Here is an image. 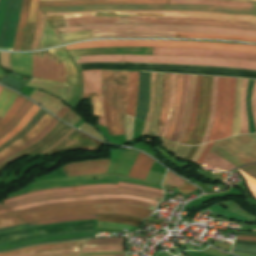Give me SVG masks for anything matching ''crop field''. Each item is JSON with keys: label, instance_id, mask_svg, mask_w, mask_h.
<instances>
[{"label": "crop field", "instance_id": "214f88e0", "mask_svg": "<svg viewBox=\"0 0 256 256\" xmlns=\"http://www.w3.org/2000/svg\"><path fill=\"white\" fill-rule=\"evenodd\" d=\"M118 186H124V187H130V188H136L140 190H145V191H150V192H155V193H160L162 194L163 191L152 189V188H147L139 185H133V184H127V183H121L119 182L118 185H93V186H84V187H74V188H65V189H55V190H45V191H37L33 193H29L20 197H13L10 199H7L3 201V203H8L10 201L14 200H19L31 196H36V195H42V194H49V193H55V192H65V191H83V190H89V189H95V188H115L117 189Z\"/></svg>", "mask_w": 256, "mask_h": 256}, {"label": "crop field", "instance_id": "180be81f", "mask_svg": "<svg viewBox=\"0 0 256 256\" xmlns=\"http://www.w3.org/2000/svg\"><path fill=\"white\" fill-rule=\"evenodd\" d=\"M67 223V222H66ZM58 224V223H57Z\"/></svg>", "mask_w": 256, "mask_h": 256}, {"label": "crop field", "instance_id": "bc2a9ffb", "mask_svg": "<svg viewBox=\"0 0 256 256\" xmlns=\"http://www.w3.org/2000/svg\"><path fill=\"white\" fill-rule=\"evenodd\" d=\"M101 198H132V199L140 200V201L155 204V205L157 203V201H155V200H149V199H145V198H142V197L127 195V194H118V195L93 194V195H87V196H81V197L57 198V199H49V200H45V201L29 203V204H25V205L13 207V208L0 210V214L6 213V212H13V211H16V210H20V209H24V208H28V207H32V206L45 205V204H49V203L71 202V201H77V200H89V199H101Z\"/></svg>", "mask_w": 256, "mask_h": 256}, {"label": "crop field", "instance_id": "733c2abd", "mask_svg": "<svg viewBox=\"0 0 256 256\" xmlns=\"http://www.w3.org/2000/svg\"><path fill=\"white\" fill-rule=\"evenodd\" d=\"M111 203H126V204L142 206L145 208L150 207V204H146V203L131 200V199L89 200V201H78V202H72V203H56V204H50V205H46V206L32 207V208L16 211L13 213L2 214V215H0V219L11 217V216L22 215V214H26V213H30V212H34V211L49 209V208L88 205V204H111Z\"/></svg>", "mask_w": 256, "mask_h": 256}, {"label": "crop field", "instance_id": "d32e631a", "mask_svg": "<svg viewBox=\"0 0 256 256\" xmlns=\"http://www.w3.org/2000/svg\"><path fill=\"white\" fill-rule=\"evenodd\" d=\"M211 81H212V77H207L206 90H205V110H204V116H203V121H202V125H201V129H200L199 135H198L194 145L200 143V140H201V138L203 136V133H204L205 128H206L207 123H208V119H209V115H210Z\"/></svg>", "mask_w": 256, "mask_h": 256}, {"label": "crop field", "instance_id": "7b73153f", "mask_svg": "<svg viewBox=\"0 0 256 256\" xmlns=\"http://www.w3.org/2000/svg\"><path fill=\"white\" fill-rule=\"evenodd\" d=\"M91 237H95V235H92V236H85V237H80V238H73V239L91 238ZM68 240H72V239H64V240H55V241L37 242V243H33V244H38V243H48V242H57V241H68ZM28 245H32V244H28ZM28 245L12 247V248H8V249L0 250V251L12 250V249H16V248H18V247H25V246H28Z\"/></svg>", "mask_w": 256, "mask_h": 256}, {"label": "crop field", "instance_id": "c5b07064", "mask_svg": "<svg viewBox=\"0 0 256 256\" xmlns=\"http://www.w3.org/2000/svg\"><path fill=\"white\" fill-rule=\"evenodd\" d=\"M236 239L256 241V237H246V236H240V235H238Z\"/></svg>", "mask_w": 256, "mask_h": 256}, {"label": "crop field", "instance_id": "00972430", "mask_svg": "<svg viewBox=\"0 0 256 256\" xmlns=\"http://www.w3.org/2000/svg\"><path fill=\"white\" fill-rule=\"evenodd\" d=\"M150 73L140 72L136 117L145 120L149 105Z\"/></svg>", "mask_w": 256, "mask_h": 256}, {"label": "crop field", "instance_id": "d3111659", "mask_svg": "<svg viewBox=\"0 0 256 256\" xmlns=\"http://www.w3.org/2000/svg\"><path fill=\"white\" fill-rule=\"evenodd\" d=\"M82 219H97V215H81V216H74V217H64V218H55V219H48L36 223L18 225L10 228L1 229L0 233H6L10 231L20 230L32 226L43 225V224H50V223H57V222H66V221H75V220H82Z\"/></svg>", "mask_w": 256, "mask_h": 256}, {"label": "crop field", "instance_id": "d1516ede", "mask_svg": "<svg viewBox=\"0 0 256 256\" xmlns=\"http://www.w3.org/2000/svg\"><path fill=\"white\" fill-rule=\"evenodd\" d=\"M21 0H0V49L11 50Z\"/></svg>", "mask_w": 256, "mask_h": 256}, {"label": "crop field", "instance_id": "c21b1889", "mask_svg": "<svg viewBox=\"0 0 256 256\" xmlns=\"http://www.w3.org/2000/svg\"><path fill=\"white\" fill-rule=\"evenodd\" d=\"M217 82H218V77H213L212 99H211V115H210L209 123H208V126L206 128V131L204 133V136L202 138L201 143L208 141V137H209L210 130H211V127H212L213 118H214V111H215V104H216Z\"/></svg>", "mask_w": 256, "mask_h": 256}, {"label": "crop field", "instance_id": "8a807250", "mask_svg": "<svg viewBox=\"0 0 256 256\" xmlns=\"http://www.w3.org/2000/svg\"><path fill=\"white\" fill-rule=\"evenodd\" d=\"M128 72L103 70V105L108 136L125 134V97Z\"/></svg>", "mask_w": 256, "mask_h": 256}, {"label": "crop field", "instance_id": "1f2cbd36", "mask_svg": "<svg viewBox=\"0 0 256 256\" xmlns=\"http://www.w3.org/2000/svg\"><path fill=\"white\" fill-rule=\"evenodd\" d=\"M102 251H124L123 245H91L84 246L83 252H102Z\"/></svg>", "mask_w": 256, "mask_h": 256}, {"label": "crop field", "instance_id": "4a817a6b", "mask_svg": "<svg viewBox=\"0 0 256 256\" xmlns=\"http://www.w3.org/2000/svg\"><path fill=\"white\" fill-rule=\"evenodd\" d=\"M90 38H92L91 31L56 35L46 19L38 49Z\"/></svg>", "mask_w": 256, "mask_h": 256}, {"label": "crop field", "instance_id": "120bbe31", "mask_svg": "<svg viewBox=\"0 0 256 256\" xmlns=\"http://www.w3.org/2000/svg\"><path fill=\"white\" fill-rule=\"evenodd\" d=\"M84 242H85V240L58 243V244L37 245V246H32V247H27V248H22V249L7 251V252H2V253H0V256L14 255V254H19V253H25V252L36 251V250L51 249V248L62 247V246L83 245Z\"/></svg>", "mask_w": 256, "mask_h": 256}, {"label": "crop field", "instance_id": "b54c1fbb", "mask_svg": "<svg viewBox=\"0 0 256 256\" xmlns=\"http://www.w3.org/2000/svg\"><path fill=\"white\" fill-rule=\"evenodd\" d=\"M45 113L46 112H44L43 110H40L22 131H20L17 135H15L13 138H11L8 142H6L4 145L0 147V151L3 150L8 145L15 142L16 140H18L19 138H21L22 136H24L27 132H29Z\"/></svg>", "mask_w": 256, "mask_h": 256}, {"label": "crop field", "instance_id": "5d738f31", "mask_svg": "<svg viewBox=\"0 0 256 256\" xmlns=\"http://www.w3.org/2000/svg\"><path fill=\"white\" fill-rule=\"evenodd\" d=\"M203 164H207L210 166H214L223 170H231L233 168H235V166H233L231 163H229L228 161L208 152L205 160L203 161Z\"/></svg>", "mask_w": 256, "mask_h": 256}, {"label": "crop field", "instance_id": "c3a83c6f", "mask_svg": "<svg viewBox=\"0 0 256 256\" xmlns=\"http://www.w3.org/2000/svg\"><path fill=\"white\" fill-rule=\"evenodd\" d=\"M96 256H123V255H96Z\"/></svg>", "mask_w": 256, "mask_h": 256}, {"label": "crop field", "instance_id": "c035e120", "mask_svg": "<svg viewBox=\"0 0 256 256\" xmlns=\"http://www.w3.org/2000/svg\"><path fill=\"white\" fill-rule=\"evenodd\" d=\"M175 86H176V75L170 74V94H169V105H168V113L165 121V125L162 132V137H165L168 129V124L170 117L172 115L174 97H175Z\"/></svg>", "mask_w": 256, "mask_h": 256}, {"label": "crop field", "instance_id": "03da06ac", "mask_svg": "<svg viewBox=\"0 0 256 256\" xmlns=\"http://www.w3.org/2000/svg\"><path fill=\"white\" fill-rule=\"evenodd\" d=\"M32 104L33 103L29 102L27 99L25 100L12 121L3 130L0 131V139L16 126V124L20 121V119L24 116Z\"/></svg>", "mask_w": 256, "mask_h": 256}, {"label": "crop field", "instance_id": "0765c3eb", "mask_svg": "<svg viewBox=\"0 0 256 256\" xmlns=\"http://www.w3.org/2000/svg\"><path fill=\"white\" fill-rule=\"evenodd\" d=\"M98 228L132 229V228H134V227L126 226V225H120V224L99 222Z\"/></svg>", "mask_w": 256, "mask_h": 256}, {"label": "crop field", "instance_id": "dbb93151", "mask_svg": "<svg viewBox=\"0 0 256 256\" xmlns=\"http://www.w3.org/2000/svg\"><path fill=\"white\" fill-rule=\"evenodd\" d=\"M80 248H81V246L64 247V248H58V249H52V250L30 252V253L19 254V255H14V256H37V255H41V254L55 253V252H71V251H79Z\"/></svg>", "mask_w": 256, "mask_h": 256}, {"label": "crop field", "instance_id": "0fb4a251", "mask_svg": "<svg viewBox=\"0 0 256 256\" xmlns=\"http://www.w3.org/2000/svg\"><path fill=\"white\" fill-rule=\"evenodd\" d=\"M184 180L168 172L163 185L182 187Z\"/></svg>", "mask_w": 256, "mask_h": 256}, {"label": "crop field", "instance_id": "b80d0937", "mask_svg": "<svg viewBox=\"0 0 256 256\" xmlns=\"http://www.w3.org/2000/svg\"><path fill=\"white\" fill-rule=\"evenodd\" d=\"M17 94L3 88L0 93V119L7 113Z\"/></svg>", "mask_w": 256, "mask_h": 256}, {"label": "crop field", "instance_id": "dafd665d", "mask_svg": "<svg viewBox=\"0 0 256 256\" xmlns=\"http://www.w3.org/2000/svg\"><path fill=\"white\" fill-rule=\"evenodd\" d=\"M69 52L72 54V56L89 55V54L152 55V48H86V49L69 50Z\"/></svg>", "mask_w": 256, "mask_h": 256}, {"label": "crop field", "instance_id": "ac0d7876", "mask_svg": "<svg viewBox=\"0 0 256 256\" xmlns=\"http://www.w3.org/2000/svg\"><path fill=\"white\" fill-rule=\"evenodd\" d=\"M151 213L152 210L126 204L57 208L0 220V229L37 220L81 214H121L143 220Z\"/></svg>", "mask_w": 256, "mask_h": 256}, {"label": "crop field", "instance_id": "5866460e", "mask_svg": "<svg viewBox=\"0 0 256 256\" xmlns=\"http://www.w3.org/2000/svg\"><path fill=\"white\" fill-rule=\"evenodd\" d=\"M182 80H183V75H177V88H176L174 111H173L172 118L170 120L168 133L165 137L168 140L170 139V137L174 131L175 123L177 120V115H178V111H179V107H180V100H181Z\"/></svg>", "mask_w": 256, "mask_h": 256}, {"label": "crop field", "instance_id": "d8731c3e", "mask_svg": "<svg viewBox=\"0 0 256 256\" xmlns=\"http://www.w3.org/2000/svg\"><path fill=\"white\" fill-rule=\"evenodd\" d=\"M235 84L236 79L219 77L217 107L209 141L231 136Z\"/></svg>", "mask_w": 256, "mask_h": 256}, {"label": "crop field", "instance_id": "d23c7cc5", "mask_svg": "<svg viewBox=\"0 0 256 256\" xmlns=\"http://www.w3.org/2000/svg\"><path fill=\"white\" fill-rule=\"evenodd\" d=\"M98 221L121 223L137 227H139L141 223L139 220L117 215H98Z\"/></svg>", "mask_w": 256, "mask_h": 256}, {"label": "crop field", "instance_id": "0bd39190", "mask_svg": "<svg viewBox=\"0 0 256 256\" xmlns=\"http://www.w3.org/2000/svg\"><path fill=\"white\" fill-rule=\"evenodd\" d=\"M36 105H32V107L28 110L25 116L21 119V121L17 124V126L9 132L5 137L0 140V145L18 133L20 130L24 128V126L29 122V120L35 115V113L39 110Z\"/></svg>", "mask_w": 256, "mask_h": 256}, {"label": "crop field", "instance_id": "28ad6ade", "mask_svg": "<svg viewBox=\"0 0 256 256\" xmlns=\"http://www.w3.org/2000/svg\"><path fill=\"white\" fill-rule=\"evenodd\" d=\"M171 4H214L237 7L252 8L253 3L238 2V1H222V0H170ZM169 0H66V1H47L40 2L39 7L43 6H62V5H78V4H104V3H160L170 4Z\"/></svg>", "mask_w": 256, "mask_h": 256}, {"label": "crop field", "instance_id": "92a150f3", "mask_svg": "<svg viewBox=\"0 0 256 256\" xmlns=\"http://www.w3.org/2000/svg\"><path fill=\"white\" fill-rule=\"evenodd\" d=\"M92 34H93V38H100V37L175 38V33L128 31V30H96V31H92Z\"/></svg>", "mask_w": 256, "mask_h": 256}, {"label": "crop field", "instance_id": "cbeb9de0", "mask_svg": "<svg viewBox=\"0 0 256 256\" xmlns=\"http://www.w3.org/2000/svg\"><path fill=\"white\" fill-rule=\"evenodd\" d=\"M153 55L209 57V58H226V59L256 61V54L234 53V52L213 51V50H198V49L153 48Z\"/></svg>", "mask_w": 256, "mask_h": 256}, {"label": "crop field", "instance_id": "ae633e8c", "mask_svg": "<svg viewBox=\"0 0 256 256\" xmlns=\"http://www.w3.org/2000/svg\"><path fill=\"white\" fill-rule=\"evenodd\" d=\"M72 109H70L69 107L67 106H63L55 116L59 117V118H63L68 112H70Z\"/></svg>", "mask_w": 256, "mask_h": 256}, {"label": "crop field", "instance_id": "750c4746", "mask_svg": "<svg viewBox=\"0 0 256 256\" xmlns=\"http://www.w3.org/2000/svg\"><path fill=\"white\" fill-rule=\"evenodd\" d=\"M59 121H57L56 119H52L50 121V123L41 131L39 132L35 137H33L31 140H29L28 142L24 143L23 145H21L20 147L16 148L15 150L11 151L10 153H8L7 155H5L4 157H2L0 159V164L2 162H4L5 160H7L9 157L29 148L30 146L34 145L35 143H37L39 140H41L43 137H45L58 123Z\"/></svg>", "mask_w": 256, "mask_h": 256}, {"label": "crop field", "instance_id": "25e5ab78", "mask_svg": "<svg viewBox=\"0 0 256 256\" xmlns=\"http://www.w3.org/2000/svg\"><path fill=\"white\" fill-rule=\"evenodd\" d=\"M247 82H248V80L243 79L242 96H241V130H240V134L248 133V120H247V114H246V110H245V91H246Z\"/></svg>", "mask_w": 256, "mask_h": 256}, {"label": "crop field", "instance_id": "34b2d1b8", "mask_svg": "<svg viewBox=\"0 0 256 256\" xmlns=\"http://www.w3.org/2000/svg\"><path fill=\"white\" fill-rule=\"evenodd\" d=\"M76 63L87 62H139V63H160L198 66H223L241 69L256 70V62L209 59V58H188V57H164V56H134V55H90L73 57Z\"/></svg>", "mask_w": 256, "mask_h": 256}, {"label": "crop field", "instance_id": "eef30255", "mask_svg": "<svg viewBox=\"0 0 256 256\" xmlns=\"http://www.w3.org/2000/svg\"><path fill=\"white\" fill-rule=\"evenodd\" d=\"M153 160L139 153L128 176L144 180Z\"/></svg>", "mask_w": 256, "mask_h": 256}, {"label": "crop field", "instance_id": "bd1437ed", "mask_svg": "<svg viewBox=\"0 0 256 256\" xmlns=\"http://www.w3.org/2000/svg\"><path fill=\"white\" fill-rule=\"evenodd\" d=\"M49 114H45L43 118L38 122V124L24 137L10 145L9 147L5 148L2 152H0V158L10 152L11 150L15 149L19 145L23 144L24 142L28 141L30 138H32L34 135H36L40 130H42L45 125L52 119Z\"/></svg>", "mask_w": 256, "mask_h": 256}, {"label": "crop field", "instance_id": "db79e9e6", "mask_svg": "<svg viewBox=\"0 0 256 256\" xmlns=\"http://www.w3.org/2000/svg\"><path fill=\"white\" fill-rule=\"evenodd\" d=\"M252 111H253L255 127H256V81L254 83L253 94H252Z\"/></svg>", "mask_w": 256, "mask_h": 256}, {"label": "crop field", "instance_id": "9d1cf04e", "mask_svg": "<svg viewBox=\"0 0 256 256\" xmlns=\"http://www.w3.org/2000/svg\"><path fill=\"white\" fill-rule=\"evenodd\" d=\"M232 251L247 254H256V246L234 244Z\"/></svg>", "mask_w": 256, "mask_h": 256}, {"label": "crop field", "instance_id": "a9b5d70f", "mask_svg": "<svg viewBox=\"0 0 256 256\" xmlns=\"http://www.w3.org/2000/svg\"><path fill=\"white\" fill-rule=\"evenodd\" d=\"M84 82V92H97L101 94V70L81 71ZM96 93H84L83 99Z\"/></svg>", "mask_w": 256, "mask_h": 256}, {"label": "crop field", "instance_id": "c39391a2", "mask_svg": "<svg viewBox=\"0 0 256 256\" xmlns=\"http://www.w3.org/2000/svg\"><path fill=\"white\" fill-rule=\"evenodd\" d=\"M197 148H198V146H193V147H192L190 153L188 154V156H187V158H186L187 161H190V159H191L192 156L194 155V153H195V151H196Z\"/></svg>", "mask_w": 256, "mask_h": 256}, {"label": "crop field", "instance_id": "4177f3b9", "mask_svg": "<svg viewBox=\"0 0 256 256\" xmlns=\"http://www.w3.org/2000/svg\"><path fill=\"white\" fill-rule=\"evenodd\" d=\"M139 72H129L126 98V114L135 116Z\"/></svg>", "mask_w": 256, "mask_h": 256}, {"label": "crop field", "instance_id": "ae1a2a85", "mask_svg": "<svg viewBox=\"0 0 256 256\" xmlns=\"http://www.w3.org/2000/svg\"><path fill=\"white\" fill-rule=\"evenodd\" d=\"M29 2H30V0H22L19 24H18V28L16 31L15 40H14L12 50H20L21 49L24 31H25V25H26L27 16H28Z\"/></svg>", "mask_w": 256, "mask_h": 256}, {"label": "crop field", "instance_id": "78b8030e", "mask_svg": "<svg viewBox=\"0 0 256 256\" xmlns=\"http://www.w3.org/2000/svg\"><path fill=\"white\" fill-rule=\"evenodd\" d=\"M244 172L256 179V165L241 168Z\"/></svg>", "mask_w": 256, "mask_h": 256}, {"label": "crop field", "instance_id": "f4fd0767", "mask_svg": "<svg viewBox=\"0 0 256 256\" xmlns=\"http://www.w3.org/2000/svg\"><path fill=\"white\" fill-rule=\"evenodd\" d=\"M44 13L51 12H77L89 10H189V11H210L229 14H242L256 16V10L236 7H223L211 5H130V4H109V5H83L40 8Z\"/></svg>", "mask_w": 256, "mask_h": 256}, {"label": "crop field", "instance_id": "ade564c9", "mask_svg": "<svg viewBox=\"0 0 256 256\" xmlns=\"http://www.w3.org/2000/svg\"><path fill=\"white\" fill-rule=\"evenodd\" d=\"M74 129H71L63 138H61L59 141H57L54 145H52L50 148L42 151L41 153H45L46 151H48L49 149H51L53 146H55L56 144H58L60 141H62L68 134H70Z\"/></svg>", "mask_w": 256, "mask_h": 256}, {"label": "crop field", "instance_id": "d14b1444", "mask_svg": "<svg viewBox=\"0 0 256 256\" xmlns=\"http://www.w3.org/2000/svg\"><path fill=\"white\" fill-rule=\"evenodd\" d=\"M78 252H71V253H55V254H47L41 256H77Z\"/></svg>", "mask_w": 256, "mask_h": 256}, {"label": "crop field", "instance_id": "730fd06b", "mask_svg": "<svg viewBox=\"0 0 256 256\" xmlns=\"http://www.w3.org/2000/svg\"><path fill=\"white\" fill-rule=\"evenodd\" d=\"M65 51L63 47H60V48L48 50L47 52L57 57L64 63L67 70V76H68L67 83L73 86H77V73H76L75 67Z\"/></svg>", "mask_w": 256, "mask_h": 256}, {"label": "crop field", "instance_id": "73cf0c24", "mask_svg": "<svg viewBox=\"0 0 256 256\" xmlns=\"http://www.w3.org/2000/svg\"><path fill=\"white\" fill-rule=\"evenodd\" d=\"M200 80H201V76H198L197 79V86H196V93H195V100H194V105H193V110H192V115H191V120H190V124L188 126V129L185 133V136L182 140L181 143L185 144L191 131H192V127L194 124V120H195V115H196V111H197V106H198V100H199V91H200Z\"/></svg>", "mask_w": 256, "mask_h": 256}, {"label": "crop field", "instance_id": "7312dd0a", "mask_svg": "<svg viewBox=\"0 0 256 256\" xmlns=\"http://www.w3.org/2000/svg\"><path fill=\"white\" fill-rule=\"evenodd\" d=\"M2 90V87H0V91Z\"/></svg>", "mask_w": 256, "mask_h": 256}, {"label": "crop field", "instance_id": "e52e79f7", "mask_svg": "<svg viewBox=\"0 0 256 256\" xmlns=\"http://www.w3.org/2000/svg\"><path fill=\"white\" fill-rule=\"evenodd\" d=\"M96 29H129V30H152V31H172V32H198L223 35H245L256 36V31L230 30L195 26H163V25H137V24H89L71 27L53 28L56 34L96 30Z\"/></svg>", "mask_w": 256, "mask_h": 256}, {"label": "crop field", "instance_id": "22f410ed", "mask_svg": "<svg viewBox=\"0 0 256 256\" xmlns=\"http://www.w3.org/2000/svg\"><path fill=\"white\" fill-rule=\"evenodd\" d=\"M33 72L32 76L66 82V71L63 63L51 56L46 51L32 53Z\"/></svg>", "mask_w": 256, "mask_h": 256}, {"label": "crop field", "instance_id": "89e229c0", "mask_svg": "<svg viewBox=\"0 0 256 256\" xmlns=\"http://www.w3.org/2000/svg\"><path fill=\"white\" fill-rule=\"evenodd\" d=\"M25 98L18 95L16 100L14 101L13 105L9 109L8 113L5 115V117L0 121V130L5 127L9 121L13 118V116L16 114L18 109L20 108L21 104L24 102Z\"/></svg>", "mask_w": 256, "mask_h": 256}, {"label": "crop field", "instance_id": "1d79db26", "mask_svg": "<svg viewBox=\"0 0 256 256\" xmlns=\"http://www.w3.org/2000/svg\"><path fill=\"white\" fill-rule=\"evenodd\" d=\"M38 5H39V0H31L30 9H29V16H28V21L27 22H31V23L36 22L37 13H38Z\"/></svg>", "mask_w": 256, "mask_h": 256}, {"label": "crop field", "instance_id": "0f1d7ab4", "mask_svg": "<svg viewBox=\"0 0 256 256\" xmlns=\"http://www.w3.org/2000/svg\"><path fill=\"white\" fill-rule=\"evenodd\" d=\"M203 253H207V254L214 255V256H227V254L220 252L218 250H215L211 247L207 248L205 251H203Z\"/></svg>", "mask_w": 256, "mask_h": 256}, {"label": "crop field", "instance_id": "425ffa30", "mask_svg": "<svg viewBox=\"0 0 256 256\" xmlns=\"http://www.w3.org/2000/svg\"><path fill=\"white\" fill-rule=\"evenodd\" d=\"M93 117L98 116V124L105 126L102 95L91 97Z\"/></svg>", "mask_w": 256, "mask_h": 256}, {"label": "crop field", "instance_id": "3316defc", "mask_svg": "<svg viewBox=\"0 0 256 256\" xmlns=\"http://www.w3.org/2000/svg\"><path fill=\"white\" fill-rule=\"evenodd\" d=\"M210 152L230 161L236 167L256 161V134L240 135L215 142Z\"/></svg>", "mask_w": 256, "mask_h": 256}, {"label": "crop field", "instance_id": "028f5c9d", "mask_svg": "<svg viewBox=\"0 0 256 256\" xmlns=\"http://www.w3.org/2000/svg\"><path fill=\"white\" fill-rule=\"evenodd\" d=\"M190 77L191 75H184V80H183V91H182V101H181V107H180V112H179V116H178V120H177V124H176V128L175 131L171 137V141H175L180 128H181V124H182V120H183V115H184V111H185V105H186V99H187V93H188V88H189V82H190Z\"/></svg>", "mask_w": 256, "mask_h": 256}, {"label": "crop field", "instance_id": "e1f06a70", "mask_svg": "<svg viewBox=\"0 0 256 256\" xmlns=\"http://www.w3.org/2000/svg\"><path fill=\"white\" fill-rule=\"evenodd\" d=\"M204 89H205V76H202V80H201V91H200V101H199V108H198V113H197V117H196V121L194 124V128L193 131L187 141L186 144L188 145H192L197 132H198V128L200 125V121H201V117H202V113H203V108H204Z\"/></svg>", "mask_w": 256, "mask_h": 256}, {"label": "crop field", "instance_id": "fb207236", "mask_svg": "<svg viewBox=\"0 0 256 256\" xmlns=\"http://www.w3.org/2000/svg\"><path fill=\"white\" fill-rule=\"evenodd\" d=\"M40 1H47V0H40ZM241 1H256V0H241Z\"/></svg>", "mask_w": 256, "mask_h": 256}, {"label": "crop field", "instance_id": "5a996713", "mask_svg": "<svg viewBox=\"0 0 256 256\" xmlns=\"http://www.w3.org/2000/svg\"><path fill=\"white\" fill-rule=\"evenodd\" d=\"M94 12H116V14H134V13H164V16L158 17H185V18H201V19H215V20H228L236 22L256 23L254 16L242 15H224L218 13L208 12H155V11H94ZM95 16H121V17H145L157 16L163 14H135V15H115V13H94ZM63 19L82 18L94 16L93 12L82 13H61ZM60 14H46L48 20L62 19Z\"/></svg>", "mask_w": 256, "mask_h": 256}, {"label": "crop field", "instance_id": "412701ff", "mask_svg": "<svg viewBox=\"0 0 256 256\" xmlns=\"http://www.w3.org/2000/svg\"><path fill=\"white\" fill-rule=\"evenodd\" d=\"M67 50L85 47H174L226 50L234 52L256 53V45L200 43L185 41H144V40H103L90 41L65 46Z\"/></svg>", "mask_w": 256, "mask_h": 256}, {"label": "crop field", "instance_id": "5142ce71", "mask_svg": "<svg viewBox=\"0 0 256 256\" xmlns=\"http://www.w3.org/2000/svg\"><path fill=\"white\" fill-rule=\"evenodd\" d=\"M93 193H113V194H118V193H128V194H134L150 199H155L161 197L159 194H154V193H149V192H144L136 189H130V188H118V190L114 189H99V190H92V191H84V192H66V193H59V194H50V195H43V196H37V197H32L24 200H19L15 201L13 203L7 204V205H0V209L7 208V207H12V206H17L33 201H39V200H45L49 198H56V197H67V196H81V195H86V194H93ZM162 198V197H161Z\"/></svg>", "mask_w": 256, "mask_h": 256}, {"label": "crop field", "instance_id": "dd49c442", "mask_svg": "<svg viewBox=\"0 0 256 256\" xmlns=\"http://www.w3.org/2000/svg\"><path fill=\"white\" fill-rule=\"evenodd\" d=\"M66 26L88 23H138L163 25H200L232 29L256 30V24L236 23L228 21L184 19V18H120V17H90L64 20Z\"/></svg>", "mask_w": 256, "mask_h": 256}, {"label": "crop field", "instance_id": "447ae74e", "mask_svg": "<svg viewBox=\"0 0 256 256\" xmlns=\"http://www.w3.org/2000/svg\"><path fill=\"white\" fill-rule=\"evenodd\" d=\"M164 176H165L164 174L149 171L145 180L160 185Z\"/></svg>", "mask_w": 256, "mask_h": 256}, {"label": "crop field", "instance_id": "e1d0b9f6", "mask_svg": "<svg viewBox=\"0 0 256 256\" xmlns=\"http://www.w3.org/2000/svg\"><path fill=\"white\" fill-rule=\"evenodd\" d=\"M213 144H214V142H213V143H208V144L206 145L205 149L203 150L202 154L200 155V157L198 158V160H197V162H196L197 164H201V162L204 160V158H205L207 152L209 151V149L211 148V146H212Z\"/></svg>", "mask_w": 256, "mask_h": 256}, {"label": "crop field", "instance_id": "1d83c4d3", "mask_svg": "<svg viewBox=\"0 0 256 256\" xmlns=\"http://www.w3.org/2000/svg\"><path fill=\"white\" fill-rule=\"evenodd\" d=\"M176 38L230 39V40H240V41L256 42V37L223 36V35H210V34H197V33H176Z\"/></svg>", "mask_w": 256, "mask_h": 256}, {"label": "crop field", "instance_id": "d9b57169", "mask_svg": "<svg viewBox=\"0 0 256 256\" xmlns=\"http://www.w3.org/2000/svg\"><path fill=\"white\" fill-rule=\"evenodd\" d=\"M109 159L80 160L63 165L60 169L67 176L106 173Z\"/></svg>", "mask_w": 256, "mask_h": 256}]
</instances>
